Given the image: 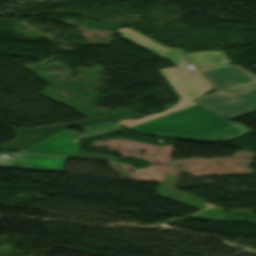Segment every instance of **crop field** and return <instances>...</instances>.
<instances>
[{"instance_id": "obj_1", "label": "crop field", "mask_w": 256, "mask_h": 256, "mask_svg": "<svg viewBox=\"0 0 256 256\" xmlns=\"http://www.w3.org/2000/svg\"><path fill=\"white\" fill-rule=\"evenodd\" d=\"M121 37L140 48L160 56L177 65L176 68L158 70L172 89L179 96V101L173 107L159 114H152L139 120L126 119L117 122L123 126L131 127L194 105L191 99L204 94L212 89L210 84L198 71L195 65L187 57L182 49L166 48L156 41L129 28H122L116 31ZM191 64L194 69L190 70L187 65Z\"/></svg>"}, {"instance_id": "obj_2", "label": "crop field", "mask_w": 256, "mask_h": 256, "mask_svg": "<svg viewBox=\"0 0 256 256\" xmlns=\"http://www.w3.org/2000/svg\"><path fill=\"white\" fill-rule=\"evenodd\" d=\"M131 129L194 141L213 142L249 132V128L229 121L199 105L131 127Z\"/></svg>"}, {"instance_id": "obj_3", "label": "crop field", "mask_w": 256, "mask_h": 256, "mask_svg": "<svg viewBox=\"0 0 256 256\" xmlns=\"http://www.w3.org/2000/svg\"><path fill=\"white\" fill-rule=\"evenodd\" d=\"M217 92L194 100L233 120L256 111V75L239 67L202 72Z\"/></svg>"}, {"instance_id": "obj_4", "label": "crop field", "mask_w": 256, "mask_h": 256, "mask_svg": "<svg viewBox=\"0 0 256 256\" xmlns=\"http://www.w3.org/2000/svg\"><path fill=\"white\" fill-rule=\"evenodd\" d=\"M122 127L113 123L105 122L93 126L84 127L86 133L78 134L72 131H62L45 141L25 150L19 151L22 153H35V154H49V155H62L82 158H94V159H108L115 160L112 157L99 156L87 153H79L78 140L84 137H91L98 134L121 129Z\"/></svg>"}, {"instance_id": "obj_5", "label": "crop field", "mask_w": 256, "mask_h": 256, "mask_svg": "<svg viewBox=\"0 0 256 256\" xmlns=\"http://www.w3.org/2000/svg\"><path fill=\"white\" fill-rule=\"evenodd\" d=\"M4 154V153H0ZM13 155L12 157H1L0 165L13 166V167H25V168H38V169H53L60 170L64 159L26 156V155Z\"/></svg>"}, {"instance_id": "obj_6", "label": "crop field", "mask_w": 256, "mask_h": 256, "mask_svg": "<svg viewBox=\"0 0 256 256\" xmlns=\"http://www.w3.org/2000/svg\"><path fill=\"white\" fill-rule=\"evenodd\" d=\"M188 56L200 71L230 66V62L223 51H205Z\"/></svg>"}]
</instances>
